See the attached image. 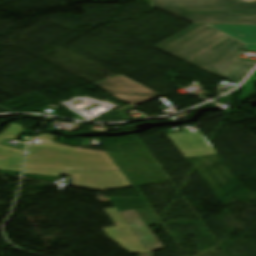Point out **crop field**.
I'll return each instance as SVG.
<instances>
[{
    "label": "crop field",
    "instance_id": "obj_4",
    "mask_svg": "<svg viewBox=\"0 0 256 256\" xmlns=\"http://www.w3.org/2000/svg\"><path fill=\"white\" fill-rule=\"evenodd\" d=\"M61 175L73 177L71 186L101 191L131 186L122 171L64 169Z\"/></svg>",
    "mask_w": 256,
    "mask_h": 256
},
{
    "label": "crop field",
    "instance_id": "obj_1",
    "mask_svg": "<svg viewBox=\"0 0 256 256\" xmlns=\"http://www.w3.org/2000/svg\"><path fill=\"white\" fill-rule=\"evenodd\" d=\"M154 48L239 83L256 65L236 59L256 50V26L194 24Z\"/></svg>",
    "mask_w": 256,
    "mask_h": 256
},
{
    "label": "crop field",
    "instance_id": "obj_11",
    "mask_svg": "<svg viewBox=\"0 0 256 256\" xmlns=\"http://www.w3.org/2000/svg\"><path fill=\"white\" fill-rule=\"evenodd\" d=\"M171 142L205 138L201 132L182 135L181 133L167 135Z\"/></svg>",
    "mask_w": 256,
    "mask_h": 256
},
{
    "label": "crop field",
    "instance_id": "obj_15",
    "mask_svg": "<svg viewBox=\"0 0 256 256\" xmlns=\"http://www.w3.org/2000/svg\"><path fill=\"white\" fill-rule=\"evenodd\" d=\"M140 256H149V252L140 254Z\"/></svg>",
    "mask_w": 256,
    "mask_h": 256
},
{
    "label": "crop field",
    "instance_id": "obj_14",
    "mask_svg": "<svg viewBox=\"0 0 256 256\" xmlns=\"http://www.w3.org/2000/svg\"><path fill=\"white\" fill-rule=\"evenodd\" d=\"M0 112H10V111H8V110L3 109V108L0 107Z\"/></svg>",
    "mask_w": 256,
    "mask_h": 256
},
{
    "label": "crop field",
    "instance_id": "obj_3",
    "mask_svg": "<svg viewBox=\"0 0 256 256\" xmlns=\"http://www.w3.org/2000/svg\"><path fill=\"white\" fill-rule=\"evenodd\" d=\"M74 150L43 141L32 144L26 149L24 174L58 176L64 168L119 170L108 154Z\"/></svg>",
    "mask_w": 256,
    "mask_h": 256
},
{
    "label": "crop field",
    "instance_id": "obj_12",
    "mask_svg": "<svg viewBox=\"0 0 256 256\" xmlns=\"http://www.w3.org/2000/svg\"><path fill=\"white\" fill-rule=\"evenodd\" d=\"M76 151L95 152V151L83 150V149H79V148H77ZM99 153H106V152H99Z\"/></svg>",
    "mask_w": 256,
    "mask_h": 256
},
{
    "label": "crop field",
    "instance_id": "obj_16",
    "mask_svg": "<svg viewBox=\"0 0 256 256\" xmlns=\"http://www.w3.org/2000/svg\"><path fill=\"white\" fill-rule=\"evenodd\" d=\"M6 116H10V115H6ZM0 117H3V116H0Z\"/></svg>",
    "mask_w": 256,
    "mask_h": 256
},
{
    "label": "crop field",
    "instance_id": "obj_10",
    "mask_svg": "<svg viewBox=\"0 0 256 256\" xmlns=\"http://www.w3.org/2000/svg\"><path fill=\"white\" fill-rule=\"evenodd\" d=\"M146 226L160 224L149 208L135 210Z\"/></svg>",
    "mask_w": 256,
    "mask_h": 256
},
{
    "label": "crop field",
    "instance_id": "obj_5",
    "mask_svg": "<svg viewBox=\"0 0 256 256\" xmlns=\"http://www.w3.org/2000/svg\"><path fill=\"white\" fill-rule=\"evenodd\" d=\"M93 85L133 106L161 96L123 76Z\"/></svg>",
    "mask_w": 256,
    "mask_h": 256
},
{
    "label": "crop field",
    "instance_id": "obj_13",
    "mask_svg": "<svg viewBox=\"0 0 256 256\" xmlns=\"http://www.w3.org/2000/svg\"><path fill=\"white\" fill-rule=\"evenodd\" d=\"M9 158H10V157L0 156V162H1V159L7 160V159H9Z\"/></svg>",
    "mask_w": 256,
    "mask_h": 256
},
{
    "label": "crop field",
    "instance_id": "obj_2",
    "mask_svg": "<svg viewBox=\"0 0 256 256\" xmlns=\"http://www.w3.org/2000/svg\"><path fill=\"white\" fill-rule=\"evenodd\" d=\"M151 6L193 23L256 25V1L151 0Z\"/></svg>",
    "mask_w": 256,
    "mask_h": 256
},
{
    "label": "crop field",
    "instance_id": "obj_8",
    "mask_svg": "<svg viewBox=\"0 0 256 256\" xmlns=\"http://www.w3.org/2000/svg\"><path fill=\"white\" fill-rule=\"evenodd\" d=\"M127 223L130 225L132 230L135 232L137 237L140 239L144 247L149 250L159 249L161 248L155 238L148 231L143 222L136 215L134 210H129L125 212H120Z\"/></svg>",
    "mask_w": 256,
    "mask_h": 256
},
{
    "label": "crop field",
    "instance_id": "obj_7",
    "mask_svg": "<svg viewBox=\"0 0 256 256\" xmlns=\"http://www.w3.org/2000/svg\"><path fill=\"white\" fill-rule=\"evenodd\" d=\"M23 130L24 129L21 125L11 123L0 134V142L6 138L16 140ZM0 155L12 157L7 161L2 160L0 170L21 171L23 151L0 145Z\"/></svg>",
    "mask_w": 256,
    "mask_h": 256
},
{
    "label": "crop field",
    "instance_id": "obj_6",
    "mask_svg": "<svg viewBox=\"0 0 256 256\" xmlns=\"http://www.w3.org/2000/svg\"><path fill=\"white\" fill-rule=\"evenodd\" d=\"M117 225L116 227L106 228L104 231L110 239L123 247L131 254L146 252L134 232L116 210V208L105 210Z\"/></svg>",
    "mask_w": 256,
    "mask_h": 256
},
{
    "label": "crop field",
    "instance_id": "obj_9",
    "mask_svg": "<svg viewBox=\"0 0 256 256\" xmlns=\"http://www.w3.org/2000/svg\"><path fill=\"white\" fill-rule=\"evenodd\" d=\"M184 158L217 154L206 139L173 143Z\"/></svg>",
    "mask_w": 256,
    "mask_h": 256
}]
</instances>
